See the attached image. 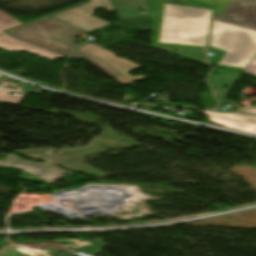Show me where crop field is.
<instances>
[{
    "mask_svg": "<svg viewBox=\"0 0 256 256\" xmlns=\"http://www.w3.org/2000/svg\"><path fill=\"white\" fill-rule=\"evenodd\" d=\"M154 25L152 46L203 50L212 10L146 0Z\"/></svg>",
    "mask_w": 256,
    "mask_h": 256,
    "instance_id": "1",
    "label": "crop field"
},
{
    "mask_svg": "<svg viewBox=\"0 0 256 256\" xmlns=\"http://www.w3.org/2000/svg\"><path fill=\"white\" fill-rule=\"evenodd\" d=\"M209 49L219 53L213 66L243 71L256 52V31L213 20Z\"/></svg>",
    "mask_w": 256,
    "mask_h": 256,
    "instance_id": "2",
    "label": "crop field"
},
{
    "mask_svg": "<svg viewBox=\"0 0 256 256\" xmlns=\"http://www.w3.org/2000/svg\"><path fill=\"white\" fill-rule=\"evenodd\" d=\"M16 162V163H14ZM0 166L20 168L26 171L20 178L39 181L42 180L46 184L52 183L57 179L66 175H73L74 173L62 170L60 167L54 166L50 163H36L25 161L17 156L10 154L3 160H0ZM44 170V171H41ZM50 171L51 173H48Z\"/></svg>",
    "mask_w": 256,
    "mask_h": 256,
    "instance_id": "4",
    "label": "crop field"
},
{
    "mask_svg": "<svg viewBox=\"0 0 256 256\" xmlns=\"http://www.w3.org/2000/svg\"><path fill=\"white\" fill-rule=\"evenodd\" d=\"M11 91H15V90L0 87V101L19 105V103L22 101L26 93L21 92L20 95L17 98H15V97L9 96V93Z\"/></svg>",
    "mask_w": 256,
    "mask_h": 256,
    "instance_id": "11",
    "label": "crop field"
},
{
    "mask_svg": "<svg viewBox=\"0 0 256 256\" xmlns=\"http://www.w3.org/2000/svg\"><path fill=\"white\" fill-rule=\"evenodd\" d=\"M214 19L256 29V0H233L228 11Z\"/></svg>",
    "mask_w": 256,
    "mask_h": 256,
    "instance_id": "8",
    "label": "crop field"
},
{
    "mask_svg": "<svg viewBox=\"0 0 256 256\" xmlns=\"http://www.w3.org/2000/svg\"><path fill=\"white\" fill-rule=\"evenodd\" d=\"M209 117V121L221 126L256 133V117L239 115V114H225V113H211L203 112Z\"/></svg>",
    "mask_w": 256,
    "mask_h": 256,
    "instance_id": "9",
    "label": "crop field"
},
{
    "mask_svg": "<svg viewBox=\"0 0 256 256\" xmlns=\"http://www.w3.org/2000/svg\"><path fill=\"white\" fill-rule=\"evenodd\" d=\"M98 7L112 11L109 0H91L90 3L71 8L69 10L52 15L88 32L96 30L110 23L95 18L92 11Z\"/></svg>",
    "mask_w": 256,
    "mask_h": 256,
    "instance_id": "5",
    "label": "crop field"
},
{
    "mask_svg": "<svg viewBox=\"0 0 256 256\" xmlns=\"http://www.w3.org/2000/svg\"><path fill=\"white\" fill-rule=\"evenodd\" d=\"M78 50L96 55L97 57L102 59L104 62H106L113 68H115L120 73H122L123 75L115 77V79L117 81H119L122 85L131 83V82H135V81H139L142 79H146V77L143 75L137 76V77H132L131 75H129L127 73L128 71L133 70L138 67H141V66H139L133 62L118 58L113 53H111L103 48H100L92 43H90Z\"/></svg>",
    "mask_w": 256,
    "mask_h": 256,
    "instance_id": "7",
    "label": "crop field"
},
{
    "mask_svg": "<svg viewBox=\"0 0 256 256\" xmlns=\"http://www.w3.org/2000/svg\"><path fill=\"white\" fill-rule=\"evenodd\" d=\"M13 37L47 50L69 56L80 46L69 40L87 33L52 16L6 31Z\"/></svg>",
    "mask_w": 256,
    "mask_h": 256,
    "instance_id": "3",
    "label": "crop field"
},
{
    "mask_svg": "<svg viewBox=\"0 0 256 256\" xmlns=\"http://www.w3.org/2000/svg\"><path fill=\"white\" fill-rule=\"evenodd\" d=\"M72 58H85L111 77L121 75L119 72L93 55L76 50L72 55Z\"/></svg>",
    "mask_w": 256,
    "mask_h": 256,
    "instance_id": "10",
    "label": "crop field"
},
{
    "mask_svg": "<svg viewBox=\"0 0 256 256\" xmlns=\"http://www.w3.org/2000/svg\"><path fill=\"white\" fill-rule=\"evenodd\" d=\"M19 24H22V23L14 19L13 17L7 15L6 13L0 11V47L1 48L6 50H11V51H27L52 61L58 58L64 57L59 54H56V53L47 51L45 49L36 47L34 45L17 40L12 36L6 34L5 32H2L5 29L11 28Z\"/></svg>",
    "mask_w": 256,
    "mask_h": 256,
    "instance_id": "6",
    "label": "crop field"
},
{
    "mask_svg": "<svg viewBox=\"0 0 256 256\" xmlns=\"http://www.w3.org/2000/svg\"><path fill=\"white\" fill-rule=\"evenodd\" d=\"M243 72L256 76V53L251 59V61L248 63V65L246 66ZM242 112L256 114V107L247 108Z\"/></svg>",
    "mask_w": 256,
    "mask_h": 256,
    "instance_id": "12",
    "label": "crop field"
}]
</instances>
